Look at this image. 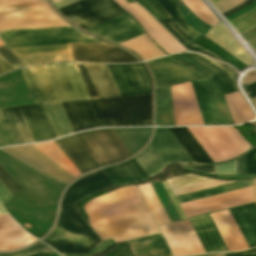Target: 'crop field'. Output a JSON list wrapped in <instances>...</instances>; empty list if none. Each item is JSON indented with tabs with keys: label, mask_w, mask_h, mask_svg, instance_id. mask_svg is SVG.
Returning a JSON list of instances; mask_svg holds the SVG:
<instances>
[{
	"label": "crop field",
	"mask_w": 256,
	"mask_h": 256,
	"mask_svg": "<svg viewBox=\"0 0 256 256\" xmlns=\"http://www.w3.org/2000/svg\"><path fill=\"white\" fill-rule=\"evenodd\" d=\"M129 4L134 2L133 0H126Z\"/></svg>",
	"instance_id": "c821d689"
},
{
	"label": "crop field",
	"mask_w": 256,
	"mask_h": 256,
	"mask_svg": "<svg viewBox=\"0 0 256 256\" xmlns=\"http://www.w3.org/2000/svg\"><path fill=\"white\" fill-rule=\"evenodd\" d=\"M204 256H223L222 254H215V255H204Z\"/></svg>",
	"instance_id": "f0312440"
},
{
	"label": "crop field",
	"mask_w": 256,
	"mask_h": 256,
	"mask_svg": "<svg viewBox=\"0 0 256 256\" xmlns=\"http://www.w3.org/2000/svg\"><path fill=\"white\" fill-rule=\"evenodd\" d=\"M226 183H230V182L207 180L199 183H194L186 186L173 188L171 190L174 193V195L177 196V195H181V194H185V193H189V192H193L201 189H206V188H210V187H214V186H218Z\"/></svg>",
	"instance_id": "5d738f31"
},
{
	"label": "crop field",
	"mask_w": 256,
	"mask_h": 256,
	"mask_svg": "<svg viewBox=\"0 0 256 256\" xmlns=\"http://www.w3.org/2000/svg\"><path fill=\"white\" fill-rule=\"evenodd\" d=\"M102 167L130 155L113 129H100L73 135Z\"/></svg>",
	"instance_id": "5a996713"
},
{
	"label": "crop field",
	"mask_w": 256,
	"mask_h": 256,
	"mask_svg": "<svg viewBox=\"0 0 256 256\" xmlns=\"http://www.w3.org/2000/svg\"><path fill=\"white\" fill-rule=\"evenodd\" d=\"M247 77L243 79L242 84L250 83L256 80V71H251L247 73Z\"/></svg>",
	"instance_id": "c3a83c6f"
},
{
	"label": "crop field",
	"mask_w": 256,
	"mask_h": 256,
	"mask_svg": "<svg viewBox=\"0 0 256 256\" xmlns=\"http://www.w3.org/2000/svg\"><path fill=\"white\" fill-rule=\"evenodd\" d=\"M195 163H213L187 128H169Z\"/></svg>",
	"instance_id": "1d83c4d3"
},
{
	"label": "crop field",
	"mask_w": 256,
	"mask_h": 256,
	"mask_svg": "<svg viewBox=\"0 0 256 256\" xmlns=\"http://www.w3.org/2000/svg\"><path fill=\"white\" fill-rule=\"evenodd\" d=\"M182 2L201 20L207 23L209 26H213L218 21L209 12L200 0H182Z\"/></svg>",
	"instance_id": "c21b1889"
},
{
	"label": "crop field",
	"mask_w": 256,
	"mask_h": 256,
	"mask_svg": "<svg viewBox=\"0 0 256 256\" xmlns=\"http://www.w3.org/2000/svg\"><path fill=\"white\" fill-rule=\"evenodd\" d=\"M245 0H220L213 4L221 13Z\"/></svg>",
	"instance_id": "db79e9e6"
},
{
	"label": "crop field",
	"mask_w": 256,
	"mask_h": 256,
	"mask_svg": "<svg viewBox=\"0 0 256 256\" xmlns=\"http://www.w3.org/2000/svg\"><path fill=\"white\" fill-rule=\"evenodd\" d=\"M11 197L12 196L9 194V192L0 183V201L2 202V204Z\"/></svg>",
	"instance_id": "c39391a2"
},
{
	"label": "crop field",
	"mask_w": 256,
	"mask_h": 256,
	"mask_svg": "<svg viewBox=\"0 0 256 256\" xmlns=\"http://www.w3.org/2000/svg\"><path fill=\"white\" fill-rule=\"evenodd\" d=\"M36 104L91 99L74 63L21 69Z\"/></svg>",
	"instance_id": "34b2d1b8"
},
{
	"label": "crop field",
	"mask_w": 256,
	"mask_h": 256,
	"mask_svg": "<svg viewBox=\"0 0 256 256\" xmlns=\"http://www.w3.org/2000/svg\"><path fill=\"white\" fill-rule=\"evenodd\" d=\"M124 7L141 24L151 38L166 33V31L135 2Z\"/></svg>",
	"instance_id": "028f5c9d"
},
{
	"label": "crop field",
	"mask_w": 256,
	"mask_h": 256,
	"mask_svg": "<svg viewBox=\"0 0 256 256\" xmlns=\"http://www.w3.org/2000/svg\"><path fill=\"white\" fill-rule=\"evenodd\" d=\"M0 38L9 48L63 44H104L72 27L1 31Z\"/></svg>",
	"instance_id": "f4fd0767"
},
{
	"label": "crop field",
	"mask_w": 256,
	"mask_h": 256,
	"mask_svg": "<svg viewBox=\"0 0 256 256\" xmlns=\"http://www.w3.org/2000/svg\"><path fill=\"white\" fill-rule=\"evenodd\" d=\"M36 241L8 215H0V251L17 249Z\"/></svg>",
	"instance_id": "4177f3b9"
},
{
	"label": "crop field",
	"mask_w": 256,
	"mask_h": 256,
	"mask_svg": "<svg viewBox=\"0 0 256 256\" xmlns=\"http://www.w3.org/2000/svg\"><path fill=\"white\" fill-rule=\"evenodd\" d=\"M113 246L112 242L109 240H105L101 242L89 255L87 256H97L105 253ZM63 256H77V255H65L61 254Z\"/></svg>",
	"instance_id": "0765c3eb"
},
{
	"label": "crop field",
	"mask_w": 256,
	"mask_h": 256,
	"mask_svg": "<svg viewBox=\"0 0 256 256\" xmlns=\"http://www.w3.org/2000/svg\"><path fill=\"white\" fill-rule=\"evenodd\" d=\"M229 22L239 33L256 25V7Z\"/></svg>",
	"instance_id": "d23c7cc5"
},
{
	"label": "crop field",
	"mask_w": 256,
	"mask_h": 256,
	"mask_svg": "<svg viewBox=\"0 0 256 256\" xmlns=\"http://www.w3.org/2000/svg\"><path fill=\"white\" fill-rule=\"evenodd\" d=\"M114 187L103 170L92 172L75 182L65 194L57 225L43 241L57 252L86 254L99 238L74 211L75 203L90 194Z\"/></svg>",
	"instance_id": "ac0d7876"
},
{
	"label": "crop field",
	"mask_w": 256,
	"mask_h": 256,
	"mask_svg": "<svg viewBox=\"0 0 256 256\" xmlns=\"http://www.w3.org/2000/svg\"><path fill=\"white\" fill-rule=\"evenodd\" d=\"M2 45H4V44H3L2 41L0 40V46H2Z\"/></svg>",
	"instance_id": "a0ae1fb6"
},
{
	"label": "crop field",
	"mask_w": 256,
	"mask_h": 256,
	"mask_svg": "<svg viewBox=\"0 0 256 256\" xmlns=\"http://www.w3.org/2000/svg\"><path fill=\"white\" fill-rule=\"evenodd\" d=\"M135 256H172L161 234L127 242Z\"/></svg>",
	"instance_id": "750c4746"
},
{
	"label": "crop field",
	"mask_w": 256,
	"mask_h": 256,
	"mask_svg": "<svg viewBox=\"0 0 256 256\" xmlns=\"http://www.w3.org/2000/svg\"><path fill=\"white\" fill-rule=\"evenodd\" d=\"M73 61L137 62L111 45H71Z\"/></svg>",
	"instance_id": "92a150f3"
},
{
	"label": "crop field",
	"mask_w": 256,
	"mask_h": 256,
	"mask_svg": "<svg viewBox=\"0 0 256 256\" xmlns=\"http://www.w3.org/2000/svg\"><path fill=\"white\" fill-rule=\"evenodd\" d=\"M18 144L34 142L18 107L1 108Z\"/></svg>",
	"instance_id": "d32e631a"
},
{
	"label": "crop field",
	"mask_w": 256,
	"mask_h": 256,
	"mask_svg": "<svg viewBox=\"0 0 256 256\" xmlns=\"http://www.w3.org/2000/svg\"><path fill=\"white\" fill-rule=\"evenodd\" d=\"M256 29V27H254Z\"/></svg>",
	"instance_id": "5edd877f"
},
{
	"label": "crop field",
	"mask_w": 256,
	"mask_h": 256,
	"mask_svg": "<svg viewBox=\"0 0 256 256\" xmlns=\"http://www.w3.org/2000/svg\"><path fill=\"white\" fill-rule=\"evenodd\" d=\"M168 54L186 51L176 40H174L168 33L153 38ZM158 45V46H159Z\"/></svg>",
	"instance_id": "425ffa30"
},
{
	"label": "crop field",
	"mask_w": 256,
	"mask_h": 256,
	"mask_svg": "<svg viewBox=\"0 0 256 256\" xmlns=\"http://www.w3.org/2000/svg\"><path fill=\"white\" fill-rule=\"evenodd\" d=\"M51 120L57 136H63L72 133V129L64 114L60 103L43 104Z\"/></svg>",
	"instance_id": "b80d0937"
},
{
	"label": "crop field",
	"mask_w": 256,
	"mask_h": 256,
	"mask_svg": "<svg viewBox=\"0 0 256 256\" xmlns=\"http://www.w3.org/2000/svg\"><path fill=\"white\" fill-rule=\"evenodd\" d=\"M53 2L59 1V0H52Z\"/></svg>",
	"instance_id": "920284fa"
},
{
	"label": "crop field",
	"mask_w": 256,
	"mask_h": 256,
	"mask_svg": "<svg viewBox=\"0 0 256 256\" xmlns=\"http://www.w3.org/2000/svg\"><path fill=\"white\" fill-rule=\"evenodd\" d=\"M184 47H186L187 49H189L191 51H198V52L207 54V55H209L211 57H214L216 59L219 58V57H217V56H215V55H213V54H211V53H209V52H207V51H205V50H203V49H201V48H199V47H197V46H195V45H193L191 43H188V44L184 45Z\"/></svg>",
	"instance_id": "ae633e8c"
},
{
	"label": "crop field",
	"mask_w": 256,
	"mask_h": 256,
	"mask_svg": "<svg viewBox=\"0 0 256 256\" xmlns=\"http://www.w3.org/2000/svg\"><path fill=\"white\" fill-rule=\"evenodd\" d=\"M175 1V0H174ZM176 2V1H175ZM177 3V2H176ZM178 5V4H177ZM178 7H179V5H178Z\"/></svg>",
	"instance_id": "f47e1a6f"
},
{
	"label": "crop field",
	"mask_w": 256,
	"mask_h": 256,
	"mask_svg": "<svg viewBox=\"0 0 256 256\" xmlns=\"http://www.w3.org/2000/svg\"><path fill=\"white\" fill-rule=\"evenodd\" d=\"M165 10L180 24V26L184 29L186 33H188L191 37L200 36V34L196 33L192 30L189 25L183 20L177 5L173 0H157Z\"/></svg>",
	"instance_id": "03da06ac"
},
{
	"label": "crop field",
	"mask_w": 256,
	"mask_h": 256,
	"mask_svg": "<svg viewBox=\"0 0 256 256\" xmlns=\"http://www.w3.org/2000/svg\"><path fill=\"white\" fill-rule=\"evenodd\" d=\"M162 184H163V186H164V188H165V190H166V192H167V194H168L170 200L172 201V203H173V205H174V207H175V209H176V211H177V213H178L180 219H184L185 216H184V214H183V212H182L180 206L178 205V203H177L175 197L173 196V194H172V192H171V190H170V188H169V186H168L166 180L162 181Z\"/></svg>",
	"instance_id": "7b73153f"
},
{
	"label": "crop field",
	"mask_w": 256,
	"mask_h": 256,
	"mask_svg": "<svg viewBox=\"0 0 256 256\" xmlns=\"http://www.w3.org/2000/svg\"><path fill=\"white\" fill-rule=\"evenodd\" d=\"M205 125L232 124L225 103L207 79L191 82Z\"/></svg>",
	"instance_id": "d1516ede"
},
{
	"label": "crop field",
	"mask_w": 256,
	"mask_h": 256,
	"mask_svg": "<svg viewBox=\"0 0 256 256\" xmlns=\"http://www.w3.org/2000/svg\"><path fill=\"white\" fill-rule=\"evenodd\" d=\"M157 225L169 223L170 220L156 196L151 184L138 186Z\"/></svg>",
	"instance_id": "0bd39190"
},
{
	"label": "crop field",
	"mask_w": 256,
	"mask_h": 256,
	"mask_svg": "<svg viewBox=\"0 0 256 256\" xmlns=\"http://www.w3.org/2000/svg\"><path fill=\"white\" fill-rule=\"evenodd\" d=\"M87 30L117 44L144 34L143 30L128 14Z\"/></svg>",
	"instance_id": "214f88e0"
},
{
	"label": "crop field",
	"mask_w": 256,
	"mask_h": 256,
	"mask_svg": "<svg viewBox=\"0 0 256 256\" xmlns=\"http://www.w3.org/2000/svg\"><path fill=\"white\" fill-rule=\"evenodd\" d=\"M184 168L198 170L213 174L214 165H179Z\"/></svg>",
	"instance_id": "78b8030e"
},
{
	"label": "crop field",
	"mask_w": 256,
	"mask_h": 256,
	"mask_svg": "<svg viewBox=\"0 0 256 256\" xmlns=\"http://www.w3.org/2000/svg\"><path fill=\"white\" fill-rule=\"evenodd\" d=\"M74 132L112 126L100 99L61 103Z\"/></svg>",
	"instance_id": "28ad6ade"
},
{
	"label": "crop field",
	"mask_w": 256,
	"mask_h": 256,
	"mask_svg": "<svg viewBox=\"0 0 256 256\" xmlns=\"http://www.w3.org/2000/svg\"><path fill=\"white\" fill-rule=\"evenodd\" d=\"M251 124H252V126L254 127V129L256 130V121L253 122V123H251Z\"/></svg>",
	"instance_id": "1f1604b0"
},
{
	"label": "crop field",
	"mask_w": 256,
	"mask_h": 256,
	"mask_svg": "<svg viewBox=\"0 0 256 256\" xmlns=\"http://www.w3.org/2000/svg\"><path fill=\"white\" fill-rule=\"evenodd\" d=\"M75 64L92 99L119 96L105 65Z\"/></svg>",
	"instance_id": "bc2a9ffb"
},
{
	"label": "crop field",
	"mask_w": 256,
	"mask_h": 256,
	"mask_svg": "<svg viewBox=\"0 0 256 256\" xmlns=\"http://www.w3.org/2000/svg\"><path fill=\"white\" fill-rule=\"evenodd\" d=\"M76 1H78V0H62L60 2L55 3L54 5L56 6L57 9H59L61 7H64L68 4H71V3L76 2Z\"/></svg>",
	"instance_id": "fb207236"
},
{
	"label": "crop field",
	"mask_w": 256,
	"mask_h": 256,
	"mask_svg": "<svg viewBox=\"0 0 256 256\" xmlns=\"http://www.w3.org/2000/svg\"><path fill=\"white\" fill-rule=\"evenodd\" d=\"M106 66L120 96L151 93L150 76L142 64Z\"/></svg>",
	"instance_id": "cbeb9de0"
},
{
	"label": "crop field",
	"mask_w": 256,
	"mask_h": 256,
	"mask_svg": "<svg viewBox=\"0 0 256 256\" xmlns=\"http://www.w3.org/2000/svg\"><path fill=\"white\" fill-rule=\"evenodd\" d=\"M172 56L177 60L199 70L209 79L225 71L215 62L197 54H176Z\"/></svg>",
	"instance_id": "5866460e"
},
{
	"label": "crop field",
	"mask_w": 256,
	"mask_h": 256,
	"mask_svg": "<svg viewBox=\"0 0 256 256\" xmlns=\"http://www.w3.org/2000/svg\"><path fill=\"white\" fill-rule=\"evenodd\" d=\"M0 214H6V212L3 210V208L0 205Z\"/></svg>",
	"instance_id": "7312dd0a"
},
{
	"label": "crop field",
	"mask_w": 256,
	"mask_h": 256,
	"mask_svg": "<svg viewBox=\"0 0 256 256\" xmlns=\"http://www.w3.org/2000/svg\"><path fill=\"white\" fill-rule=\"evenodd\" d=\"M19 108L35 142L57 137L42 104Z\"/></svg>",
	"instance_id": "a9b5d70f"
},
{
	"label": "crop field",
	"mask_w": 256,
	"mask_h": 256,
	"mask_svg": "<svg viewBox=\"0 0 256 256\" xmlns=\"http://www.w3.org/2000/svg\"><path fill=\"white\" fill-rule=\"evenodd\" d=\"M246 174H256V149L245 155Z\"/></svg>",
	"instance_id": "9d1cf04e"
},
{
	"label": "crop field",
	"mask_w": 256,
	"mask_h": 256,
	"mask_svg": "<svg viewBox=\"0 0 256 256\" xmlns=\"http://www.w3.org/2000/svg\"><path fill=\"white\" fill-rule=\"evenodd\" d=\"M174 256L205 252L189 219L160 227Z\"/></svg>",
	"instance_id": "733c2abd"
},
{
	"label": "crop field",
	"mask_w": 256,
	"mask_h": 256,
	"mask_svg": "<svg viewBox=\"0 0 256 256\" xmlns=\"http://www.w3.org/2000/svg\"><path fill=\"white\" fill-rule=\"evenodd\" d=\"M27 66L50 61H72L70 45L11 49Z\"/></svg>",
	"instance_id": "dafd665d"
},
{
	"label": "crop field",
	"mask_w": 256,
	"mask_h": 256,
	"mask_svg": "<svg viewBox=\"0 0 256 256\" xmlns=\"http://www.w3.org/2000/svg\"><path fill=\"white\" fill-rule=\"evenodd\" d=\"M211 80L217 84V86L221 89L223 95L237 92V89L234 86L233 78L227 71L212 78Z\"/></svg>",
	"instance_id": "25e5ab78"
},
{
	"label": "crop field",
	"mask_w": 256,
	"mask_h": 256,
	"mask_svg": "<svg viewBox=\"0 0 256 256\" xmlns=\"http://www.w3.org/2000/svg\"><path fill=\"white\" fill-rule=\"evenodd\" d=\"M14 179V178H13ZM0 167V181L13 196L22 187Z\"/></svg>",
	"instance_id": "dbb93151"
},
{
	"label": "crop field",
	"mask_w": 256,
	"mask_h": 256,
	"mask_svg": "<svg viewBox=\"0 0 256 256\" xmlns=\"http://www.w3.org/2000/svg\"><path fill=\"white\" fill-rule=\"evenodd\" d=\"M249 248L256 246V206L255 204L230 210Z\"/></svg>",
	"instance_id": "ae1a2a85"
},
{
	"label": "crop field",
	"mask_w": 256,
	"mask_h": 256,
	"mask_svg": "<svg viewBox=\"0 0 256 256\" xmlns=\"http://www.w3.org/2000/svg\"><path fill=\"white\" fill-rule=\"evenodd\" d=\"M139 4L146 8L159 22L170 17L156 0H143Z\"/></svg>",
	"instance_id": "73cf0c24"
},
{
	"label": "crop field",
	"mask_w": 256,
	"mask_h": 256,
	"mask_svg": "<svg viewBox=\"0 0 256 256\" xmlns=\"http://www.w3.org/2000/svg\"><path fill=\"white\" fill-rule=\"evenodd\" d=\"M135 1H137V0H135Z\"/></svg>",
	"instance_id": "3620e2b9"
},
{
	"label": "crop field",
	"mask_w": 256,
	"mask_h": 256,
	"mask_svg": "<svg viewBox=\"0 0 256 256\" xmlns=\"http://www.w3.org/2000/svg\"><path fill=\"white\" fill-rule=\"evenodd\" d=\"M89 224L115 243L160 233L136 186H127L94 199L83 207Z\"/></svg>",
	"instance_id": "8a807250"
},
{
	"label": "crop field",
	"mask_w": 256,
	"mask_h": 256,
	"mask_svg": "<svg viewBox=\"0 0 256 256\" xmlns=\"http://www.w3.org/2000/svg\"><path fill=\"white\" fill-rule=\"evenodd\" d=\"M104 171L115 186L148 178L135 159L121 165L106 168Z\"/></svg>",
	"instance_id": "d3111659"
},
{
	"label": "crop field",
	"mask_w": 256,
	"mask_h": 256,
	"mask_svg": "<svg viewBox=\"0 0 256 256\" xmlns=\"http://www.w3.org/2000/svg\"><path fill=\"white\" fill-rule=\"evenodd\" d=\"M244 89L251 94L249 95L250 99L256 97V81L244 86Z\"/></svg>",
	"instance_id": "d14b1444"
},
{
	"label": "crop field",
	"mask_w": 256,
	"mask_h": 256,
	"mask_svg": "<svg viewBox=\"0 0 256 256\" xmlns=\"http://www.w3.org/2000/svg\"><path fill=\"white\" fill-rule=\"evenodd\" d=\"M205 179L206 178L197 177L193 175H184V176L176 177L173 179H168L167 182L170 188H173V187H177V186H181V185H185V184H189V183H193V182H197Z\"/></svg>",
	"instance_id": "0fb4a251"
},
{
	"label": "crop field",
	"mask_w": 256,
	"mask_h": 256,
	"mask_svg": "<svg viewBox=\"0 0 256 256\" xmlns=\"http://www.w3.org/2000/svg\"><path fill=\"white\" fill-rule=\"evenodd\" d=\"M255 193H256V182H255Z\"/></svg>",
	"instance_id": "8de936bc"
},
{
	"label": "crop field",
	"mask_w": 256,
	"mask_h": 256,
	"mask_svg": "<svg viewBox=\"0 0 256 256\" xmlns=\"http://www.w3.org/2000/svg\"><path fill=\"white\" fill-rule=\"evenodd\" d=\"M180 32L182 33L185 37H187L190 41L194 40L192 39L189 35H187L183 29L179 26V24L171 17L163 22L161 24L182 44L188 43V41L174 28L171 26V24Z\"/></svg>",
	"instance_id": "1f2cbd36"
},
{
	"label": "crop field",
	"mask_w": 256,
	"mask_h": 256,
	"mask_svg": "<svg viewBox=\"0 0 256 256\" xmlns=\"http://www.w3.org/2000/svg\"><path fill=\"white\" fill-rule=\"evenodd\" d=\"M41 251H54L53 249L49 248L48 246L39 243L35 246H32L30 248L21 250V251H16V252H9V253H3L0 254V256H22L28 253H32V252H41Z\"/></svg>",
	"instance_id": "1d79db26"
},
{
	"label": "crop field",
	"mask_w": 256,
	"mask_h": 256,
	"mask_svg": "<svg viewBox=\"0 0 256 256\" xmlns=\"http://www.w3.org/2000/svg\"><path fill=\"white\" fill-rule=\"evenodd\" d=\"M101 100L113 126L152 125L151 94Z\"/></svg>",
	"instance_id": "d8731c3e"
},
{
	"label": "crop field",
	"mask_w": 256,
	"mask_h": 256,
	"mask_svg": "<svg viewBox=\"0 0 256 256\" xmlns=\"http://www.w3.org/2000/svg\"><path fill=\"white\" fill-rule=\"evenodd\" d=\"M135 159L149 177L159 172L166 164L194 163L168 128H157L152 144Z\"/></svg>",
	"instance_id": "e52e79f7"
},
{
	"label": "crop field",
	"mask_w": 256,
	"mask_h": 256,
	"mask_svg": "<svg viewBox=\"0 0 256 256\" xmlns=\"http://www.w3.org/2000/svg\"><path fill=\"white\" fill-rule=\"evenodd\" d=\"M17 144L0 109V147Z\"/></svg>",
	"instance_id": "89e229c0"
},
{
	"label": "crop field",
	"mask_w": 256,
	"mask_h": 256,
	"mask_svg": "<svg viewBox=\"0 0 256 256\" xmlns=\"http://www.w3.org/2000/svg\"><path fill=\"white\" fill-rule=\"evenodd\" d=\"M226 256H256V248L249 251H244L240 253H230L226 254Z\"/></svg>",
	"instance_id": "ade564c9"
},
{
	"label": "crop field",
	"mask_w": 256,
	"mask_h": 256,
	"mask_svg": "<svg viewBox=\"0 0 256 256\" xmlns=\"http://www.w3.org/2000/svg\"><path fill=\"white\" fill-rule=\"evenodd\" d=\"M176 125H204L191 83L171 87Z\"/></svg>",
	"instance_id": "4a817a6b"
},
{
	"label": "crop field",
	"mask_w": 256,
	"mask_h": 256,
	"mask_svg": "<svg viewBox=\"0 0 256 256\" xmlns=\"http://www.w3.org/2000/svg\"><path fill=\"white\" fill-rule=\"evenodd\" d=\"M205 36L243 62L245 65L248 66L252 64L250 56L220 23L212 27Z\"/></svg>",
	"instance_id": "eef30255"
},
{
	"label": "crop field",
	"mask_w": 256,
	"mask_h": 256,
	"mask_svg": "<svg viewBox=\"0 0 256 256\" xmlns=\"http://www.w3.org/2000/svg\"><path fill=\"white\" fill-rule=\"evenodd\" d=\"M232 158L251 148L234 127H206ZM205 127L188 128L214 163L232 159Z\"/></svg>",
	"instance_id": "dd49c442"
},
{
	"label": "crop field",
	"mask_w": 256,
	"mask_h": 256,
	"mask_svg": "<svg viewBox=\"0 0 256 256\" xmlns=\"http://www.w3.org/2000/svg\"><path fill=\"white\" fill-rule=\"evenodd\" d=\"M120 45H123L133 50L134 52L138 53L141 57H143L145 60L165 55L152 43V41L148 38L146 34L134 38L125 43H122Z\"/></svg>",
	"instance_id": "e1f06a70"
},
{
	"label": "crop field",
	"mask_w": 256,
	"mask_h": 256,
	"mask_svg": "<svg viewBox=\"0 0 256 256\" xmlns=\"http://www.w3.org/2000/svg\"><path fill=\"white\" fill-rule=\"evenodd\" d=\"M60 11L85 29L126 14L113 0H82Z\"/></svg>",
	"instance_id": "3316defc"
},
{
	"label": "crop field",
	"mask_w": 256,
	"mask_h": 256,
	"mask_svg": "<svg viewBox=\"0 0 256 256\" xmlns=\"http://www.w3.org/2000/svg\"><path fill=\"white\" fill-rule=\"evenodd\" d=\"M155 125H175L170 87L155 90Z\"/></svg>",
	"instance_id": "bd1437ed"
},
{
	"label": "crop field",
	"mask_w": 256,
	"mask_h": 256,
	"mask_svg": "<svg viewBox=\"0 0 256 256\" xmlns=\"http://www.w3.org/2000/svg\"><path fill=\"white\" fill-rule=\"evenodd\" d=\"M253 1H255V0H246L245 2H243V3H241V4L237 5V6H235L234 8H232V9H230V10H228V11L222 13V14H223V16H224V18H225V17H227V16L233 14L234 12L240 10L241 8H243V7L247 6V5H249V4L252 3Z\"/></svg>",
	"instance_id": "e1d0b9f6"
},
{
	"label": "crop field",
	"mask_w": 256,
	"mask_h": 256,
	"mask_svg": "<svg viewBox=\"0 0 256 256\" xmlns=\"http://www.w3.org/2000/svg\"><path fill=\"white\" fill-rule=\"evenodd\" d=\"M252 103L254 104L255 108H256V98L252 99Z\"/></svg>",
	"instance_id": "180be81f"
},
{
	"label": "crop field",
	"mask_w": 256,
	"mask_h": 256,
	"mask_svg": "<svg viewBox=\"0 0 256 256\" xmlns=\"http://www.w3.org/2000/svg\"><path fill=\"white\" fill-rule=\"evenodd\" d=\"M52 143L79 174L100 167L72 135Z\"/></svg>",
	"instance_id": "00972430"
},
{
	"label": "crop field",
	"mask_w": 256,
	"mask_h": 256,
	"mask_svg": "<svg viewBox=\"0 0 256 256\" xmlns=\"http://www.w3.org/2000/svg\"><path fill=\"white\" fill-rule=\"evenodd\" d=\"M24 66L6 47H0V74Z\"/></svg>",
	"instance_id": "b54c1fbb"
},
{
	"label": "crop field",
	"mask_w": 256,
	"mask_h": 256,
	"mask_svg": "<svg viewBox=\"0 0 256 256\" xmlns=\"http://www.w3.org/2000/svg\"><path fill=\"white\" fill-rule=\"evenodd\" d=\"M0 0V7L38 8L14 9L0 8V30L72 26L64 21L44 0Z\"/></svg>",
	"instance_id": "412701ff"
},
{
	"label": "crop field",
	"mask_w": 256,
	"mask_h": 256,
	"mask_svg": "<svg viewBox=\"0 0 256 256\" xmlns=\"http://www.w3.org/2000/svg\"><path fill=\"white\" fill-rule=\"evenodd\" d=\"M190 221L206 252L228 251L210 214L191 218Z\"/></svg>",
	"instance_id": "730fd06b"
},
{
	"label": "crop field",
	"mask_w": 256,
	"mask_h": 256,
	"mask_svg": "<svg viewBox=\"0 0 256 256\" xmlns=\"http://www.w3.org/2000/svg\"><path fill=\"white\" fill-rule=\"evenodd\" d=\"M144 63L154 77L155 89L205 78L198 72L169 57Z\"/></svg>",
	"instance_id": "5142ce71"
},
{
	"label": "crop field",
	"mask_w": 256,
	"mask_h": 256,
	"mask_svg": "<svg viewBox=\"0 0 256 256\" xmlns=\"http://www.w3.org/2000/svg\"><path fill=\"white\" fill-rule=\"evenodd\" d=\"M218 0H210V2L213 4L215 2H217Z\"/></svg>",
	"instance_id": "819c52e7"
},
{
	"label": "crop field",
	"mask_w": 256,
	"mask_h": 256,
	"mask_svg": "<svg viewBox=\"0 0 256 256\" xmlns=\"http://www.w3.org/2000/svg\"><path fill=\"white\" fill-rule=\"evenodd\" d=\"M214 174H236V160L231 163L215 166Z\"/></svg>",
	"instance_id": "447ae74e"
},
{
	"label": "crop field",
	"mask_w": 256,
	"mask_h": 256,
	"mask_svg": "<svg viewBox=\"0 0 256 256\" xmlns=\"http://www.w3.org/2000/svg\"><path fill=\"white\" fill-rule=\"evenodd\" d=\"M253 202V186L201 198L180 206L186 218Z\"/></svg>",
	"instance_id": "22f410ed"
},
{
	"label": "crop field",
	"mask_w": 256,
	"mask_h": 256,
	"mask_svg": "<svg viewBox=\"0 0 256 256\" xmlns=\"http://www.w3.org/2000/svg\"><path fill=\"white\" fill-rule=\"evenodd\" d=\"M152 128H120L114 129L131 155L140 150L148 141Z\"/></svg>",
	"instance_id": "120bbe31"
},
{
	"label": "crop field",
	"mask_w": 256,
	"mask_h": 256,
	"mask_svg": "<svg viewBox=\"0 0 256 256\" xmlns=\"http://www.w3.org/2000/svg\"><path fill=\"white\" fill-rule=\"evenodd\" d=\"M17 160L23 162L36 171L68 184L74 177L63 170L60 166L46 157L32 145L18 146L1 149Z\"/></svg>",
	"instance_id": "d9b57169"
},
{
	"label": "crop field",
	"mask_w": 256,
	"mask_h": 256,
	"mask_svg": "<svg viewBox=\"0 0 256 256\" xmlns=\"http://www.w3.org/2000/svg\"><path fill=\"white\" fill-rule=\"evenodd\" d=\"M251 185H253V181L235 182V183H231V184H227V185H223V186H219V187H215V188H211V189H207L199 192L177 196L176 199L178 203H181V202H185V201H189V200H193L201 197H206V196H210V195H214V194H218L226 191H231V190H235V189H239V188H243Z\"/></svg>",
	"instance_id": "c035e120"
},
{
	"label": "crop field",
	"mask_w": 256,
	"mask_h": 256,
	"mask_svg": "<svg viewBox=\"0 0 256 256\" xmlns=\"http://www.w3.org/2000/svg\"><path fill=\"white\" fill-rule=\"evenodd\" d=\"M237 174H245L244 156L237 160Z\"/></svg>",
	"instance_id": "c5b07064"
},
{
	"label": "crop field",
	"mask_w": 256,
	"mask_h": 256,
	"mask_svg": "<svg viewBox=\"0 0 256 256\" xmlns=\"http://www.w3.org/2000/svg\"><path fill=\"white\" fill-rule=\"evenodd\" d=\"M241 36L256 49V30L254 28L242 34Z\"/></svg>",
	"instance_id": "0f1d7ab4"
}]
</instances>
